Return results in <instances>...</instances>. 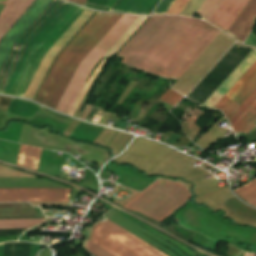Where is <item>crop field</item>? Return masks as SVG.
<instances>
[{
    "label": "crop field",
    "mask_w": 256,
    "mask_h": 256,
    "mask_svg": "<svg viewBox=\"0 0 256 256\" xmlns=\"http://www.w3.org/2000/svg\"><path fill=\"white\" fill-rule=\"evenodd\" d=\"M219 32L194 18L151 17L116 56L133 68L178 79Z\"/></svg>",
    "instance_id": "crop-field-1"
},
{
    "label": "crop field",
    "mask_w": 256,
    "mask_h": 256,
    "mask_svg": "<svg viewBox=\"0 0 256 256\" xmlns=\"http://www.w3.org/2000/svg\"><path fill=\"white\" fill-rule=\"evenodd\" d=\"M83 10L84 8L82 7L68 3L63 6V8L55 15V17L27 47L3 92L11 93L21 97L23 96L45 53L73 23V21L81 14ZM92 12V10L85 9L46 53L23 97L31 99L54 55Z\"/></svg>",
    "instance_id": "crop-field-2"
},
{
    "label": "crop field",
    "mask_w": 256,
    "mask_h": 256,
    "mask_svg": "<svg viewBox=\"0 0 256 256\" xmlns=\"http://www.w3.org/2000/svg\"><path fill=\"white\" fill-rule=\"evenodd\" d=\"M121 16L97 12L58 56L35 101L55 109L78 63Z\"/></svg>",
    "instance_id": "crop-field-3"
},
{
    "label": "crop field",
    "mask_w": 256,
    "mask_h": 256,
    "mask_svg": "<svg viewBox=\"0 0 256 256\" xmlns=\"http://www.w3.org/2000/svg\"><path fill=\"white\" fill-rule=\"evenodd\" d=\"M137 17L138 16L123 15L79 63L56 107V110L68 114L92 68L107 53V51L114 45V43L121 37V35L128 29V27L135 21Z\"/></svg>",
    "instance_id": "crop-field-4"
},
{
    "label": "crop field",
    "mask_w": 256,
    "mask_h": 256,
    "mask_svg": "<svg viewBox=\"0 0 256 256\" xmlns=\"http://www.w3.org/2000/svg\"><path fill=\"white\" fill-rule=\"evenodd\" d=\"M189 197L188 190L181 184L160 180L149 186L124 208L139 211L161 222Z\"/></svg>",
    "instance_id": "crop-field-5"
},
{
    "label": "crop field",
    "mask_w": 256,
    "mask_h": 256,
    "mask_svg": "<svg viewBox=\"0 0 256 256\" xmlns=\"http://www.w3.org/2000/svg\"><path fill=\"white\" fill-rule=\"evenodd\" d=\"M105 223L125 234L134 241L138 242L139 244L143 245L157 255L166 256L142 240L128 233L124 229L115 225L111 221L106 220ZM105 223L101 222L95 225L93 231L91 230L92 235L90 234L91 237L89 240L93 241L94 243L98 244L116 256H157Z\"/></svg>",
    "instance_id": "crop-field-6"
},
{
    "label": "crop field",
    "mask_w": 256,
    "mask_h": 256,
    "mask_svg": "<svg viewBox=\"0 0 256 256\" xmlns=\"http://www.w3.org/2000/svg\"><path fill=\"white\" fill-rule=\"evenodd\" d=\"M64 4L65 2L63 1L52 0L51 3L43 10V12L14 43L11 51L9 52L6 60L4 61L0 69V92H2L26 47L46 26V24L54 17V15L62 8Z\"/></svg>",
    "instance_id": "crop-field-7"
},
{
    "label": "crop field",
    "mask_w": 256,
    "mask_h": 256,
    "mask_svg": "<svg viewBox=\"0 0 256 256\" xmlns=\"http://www.w3.org/2000/svg\"><path fill=\"white\" fill-rule=\"evenodd\" d=\"M255 88H256V61L250 66V68L244 73V75L237 81V83L228 91V93L219 101V103L215 106V108L222 110L228 119L232 115V113L243 103V101L253 92Z\"/></svg>",
    "instance_id": "crop-field-8"
},
{
    "label": "crop field",
    "mask_w": 256,
    "mask_h": 256,
    "mask_svg": "<svg viewBox=\"0 0 256 256\" xmlns=\"http://www.w3.org/2000/svg\"><path fill=\"white\" fill-rule=\"evenodd\" d=\"M71 189H0V202H68Z\"/></svg>",
    "instance_id": "crop-field-9"
},
{
    "label": "crop field",
    "mask_w": 256,
    "mask_h": 256,
    "mask_svg": "<svg viewBox=\"0 0 256 256\" xmlns=\"http://www.w3.org/2000/svg\"><path fill=\"white\" fill-rule=\"evenodd\" d=\"M228 120L235 134H246L256 126V89Z\"/></svg>",
    "instance_id": "crop-field-10"
},
{
    "label": "crop field",
    "mask_w": 256,
    "mask_h": 256,
    "mask_svg": "<svg viewBox=\"0 0 256 256\" xmlns=\"http://www.w3.org/2000/svg\"><path fill=\"white\" fill-rule=\"evenodd\" d=\"M256 17V0H250L226 32L243 42Z\"/></svg>",
    "instance_id": "crop-field-11"
},
{
    "label": "crop field",
    "mask_w": 256,
    "mask_h": 256,
    "mask_svg": "<svg viewBox=\"0 0 256 256\" xmlns=\"http://www.w3.org/2000/svg\"><path fill=\"white\" fill-rule=\"evenodd\" d=\"M34 0H0L7 5L0 15V39L24 13Z\"/></svg>",
    "instance_id": "crop-field-12"
},
{
    "label": "crop field",
    "mask_w": 256,
    "mask_h": 256,
    "mask_svg": "<svg viewBox=\"0 0 256 256\" xmlns=\"http://www.w3.org/2000/svg\"><path fill=\"white\" fill-rule=\"evenodd\" d=\"M248 1L249 0H224L209 21L227 30Z\"/></svg>",
    "instance_id": "crop-field-13"
},
{
    "label": "crop field",
    "mask_w": 256,
    "mask_h": 256,
    "mask_svg": "<svg viewBox=\"0 0 256 256\" xmlns=\"http://www.w3.org/2000/svg\"><path fill=\"white\" fill-rule=\"evenodd\" d=\"M44 217L27 203H0V218Z\"/></svg>",
    "instance_id": "crop-field-14"
},
{
    "label": "crop field",
    "mask_w": 256,
    "mask_h": 256,
    "mask_svg": "<svg viewBox=\"0 0 256 256\" xmlns=\"http://www.w3.org/2000/svg\"><path fill=\"white\" fill-rule=\"evenodd\" d=\"M158 0H118L112 11L148 14Z\"/></svg>",
    "instance_id": "crop-field-15"
},
{
    "label": "crop field",
    "mask_w": 256,
    "mask_h": 256,
    "mask_svg": "<svg viewBox=\"0 0 256 256\" xmlns=\"http://www.w3.org/2000/svg\"><path fill=\"white\" fill-rule=\"evenodd\" d=\"M40 151L39 148L21 145L17 164L37 171Z\"/></svg>",
    "instance_id": "crop-field-16"
},
{
    "label": "crop field",
    "mask_w": 256,
    "mask_h": 256,
    "mask_svg": "<svg viewBox=\"0 0 256 256\" xmlns=\"http://www.w3.org/2000/svg\"><path fill=\"white\" fill-rule=\"evenodd\" d=\"M39 109L27 101L12 99L7 113L31 118Z\"/></svg>",
    "instance_id": "crop-field-17"
},
{
    "label": "crop field",
    "mask_w": 256,
    "mask_h": 256,
    "mask_svg": "<svg viewBox=\"0 0 256 256\" xmlns=\"http://www.w3.org/2000/svg\"><path fill=\"white\" fill-rule=\"evenodd\" d=\"M45 219L0 220V228H31Z\"/></svg>",
    "instance_id": "crop-field-18"
},
{
    "label": "crop field",
    "mask_w": 256,
    "mask_h": 256,
    "mask_svg": "<svg viewBox=\"0 0 256 256\" xmlns=\"http://www.w3.org/2000/svg\"><path fill=\"white\" fill-rule=\"evenodd\" d=\"M233 191L239 194L246 202L249 201L256 196V178Z\"/></svg>",
    "instance_id": "crop-field-19"
},
{
    "label": "crop field",
    "mask_w": 256,
    "mask_h": 256,
    "mask_svg": "<svg viewBox=\"0 0 256 256\" xmlns=\"http://www.w3.org/2000/svg\"><path fill=\"white\" fill-rule=\"evenodd\" d=\"M222 2L223 0H206L197 12L209 20Z\"/></svg>",
    "instance_id": "crop-field-20"
},
{
    "label": "crop field",
    "mask_w": 256,
    "mask_h": 256,
    "mask_svg": "<svg viewBox=\"0 0 256 256\" xmlns=\"http://www.w3.org/2000/svg\"><path fill=\"white\" fill-rule=\"evenodd\" d=\"M107 0H86L84 6L101 10ZM116 0H108L102 10L110 11Z\"/></svg>",
    "instance_id": "crop-field-21"
},
{
    "label": "crop field",
    "mask_w": 256,
    "mask_h": 256,
    "mask_svg": "<svg viewBox=\"0 0 256 256\" xmlns=\"http://www.w3.org/2000/svg\"><path fill=\"white\" fill-rule=\"evenodd\" d=\"M182 98H183L182 96H180L175 91L169 88L159 99L174 106Z\"/></svg>",
    "instance_id": "crop-field-22"
},
{
    "label": "crop field",
    "mask_w": 256,
    "mask_h": 256,
    "mask_svg": "<svg viewBox=\"0 0 256 256\" xmlns=\"http://www.w3.org/2000/svg\"><path fill=\"white\" fill-rule=\"evenodd\" d=\"M85 247L95 256H114L113 254L109 253L108 251L104 250L89 240Z\"/></svg>",
    "instance_id": "crop-field-23"
},
{
    "label": "crop field",
    "mask_w": 256,
    "mask_h": 256,
    "mask_svg": "<svg viewBox=\"0 0 256 256\" xmlns=\"http://www.w3.org/2000/svg\"><path fill=\"white\" fill-rule=\"evenodd\" d=\"M175 0H162L152 14L166 13Z\"/></svg>",
    "instance_id": "crop-field-24"
},
{
    "label": "crop field",
    "mask_w": 256,
    "mask_h": 256,
    "mask_svg": "<svg viewBox=\"0 0 256 256\" xmlns=\"http://www.w3.org/2000/svg\"><path fill=\"white\" fill-rule=\"evenodd\" d=\"M189 0H176L167 13L179 14Z\"/></svg>",
    "instance_id": "crop-field-25"
},
{
    "label": "crop field",
    "mask_w": 256,
    "mask_h": 256,
    "mask_svg": "<svg viewBox=\"0 0 256 256\" xmlns=\"http://www.w3.org/2000/svg\"><path fill=\"white\" fill-rule=\"evenodd\" d=\"M14 243H6L5 256H13Z\"/></svg>",
    "instance_id": "crop-field-26"
},
{
    "label": "crop field",
    "mask_w": 256,
    "mask_h": 256,
    "mask_svg": "<svg viewBox=\"0 0 256 256\" xmlns=\"http://www.w3.org/2000/svg\"><path fill=\"white\" fill-rule=\"evenodd\" d=\"M69 1L81 4V5H83V3L85 2V0H69Z\"/></svg>",
    "instance_id": "crop-field-27"
},
{
    "label": "crop field",
    "mask_w": 256,
    "mask_h": 256,
    "mask_svg": "<svg viewBox=\"0 0 256 256\" xmlns=\"http://www.w3.org/2000/svg\"><path fill=\"white\" fill-rule=\"evenodd\" d=\"M247 203H250V204H253V205L256 206V197H255L254 199L250 200V201L247 202ZM253 205H252V206H253Z\"/></svg>",
    "instance_id": "crop-field-28"
},
{
    "label": "crop field",
    "mask_w": 256,
    "mask_h": 256,
    "mask_svg": "<svg viewBox=\"0 0 256 256\" xmlns=\"http://www.w3.org/2000/svg\"><path fill=\"white\" fill-rule=\"evenodd\" d=\"M254 123H256V121Z\"/></svg>",
    "instance_id": "crop-field-29"
}]
</instances>
